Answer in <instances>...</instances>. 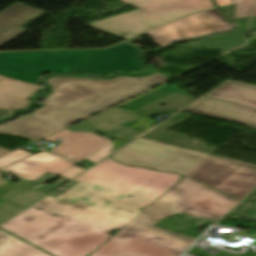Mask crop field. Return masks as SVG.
Here are the masks:
<instances>
[{
  "label": "crop field",
  "mask_w": 256,
  "mask_h": 256,
  "mask_svg": "<svg viewBox=\"0 0 256 256\" xmlns=\"http://www.w3.org/2000/svg\"><path fill=\"white\" fill-rule=\"evenodd\" d=\"M44 14H46V12L39 11L20 3L1 12L0 47L27 31L22 28Z\"/></svg>",
  "instance_id": "d1516ede"
},
{
  "label": "crop field",
  "mask_w": 256,
  "mask_h": 256,
  "mask_svg": "<svg viewBox=\"0 0 256 256\" xmlns=\"http://www.w3.org/2000/svg\"><path fill=\"white\" fill-rule=\"evenodd\" d=\"M58 138L63 139V141L61 145L53 149L52 152L68 158L100 137L92 132H73L66 129L46 140L52 142Z\"/></svg>",
  "instance_id": "733c2abd"
},
{
  "label": "crop field",
  "mask_w": 256,
  "mask_h": 256,
  "mask_svg": "<svg viewBox=\"0 0 256 256\" xmlns=\"http://www.w3.org/2000/svg\"><path fill=\"white\" fill-rule=\"evenodd\" d=\"M15 186H11V185H7L4 184L2 186H0V197L2 195H4L5 193H7L8 191H10L11 189H13ZM4 200H0V203L3 202Z\"/></svg>",
  "instance_id": "bd1437ed"
},
{
  "label": "crop field",
  "mask_w": 256,
  "mask_h": 256,
  "mask_svg": "<svg viewBox=\"0 0 256 256\" xmlns=\"http://www.w3.org/2000/svg\"><path fill=\"white\" fill-rule=\"evenodd\" d=\"M186 176L239 199L256 186V166L212 155Z\"/></svg>",
  "instance_id": "e52e79f7"
},
{
  "label": "crop field",
  "mask_w": 256,
  "mask_h": 256,
  "mask_svg": "<svg viewBox=\"0 0 256 256\" xmlns=\"http://www.w3.org/2000/svg\"><path fill=\"white\" fill-rule=\"evenodd\" d=\"M247 126L256 128V118L253 119L250 123H248Z\"/></svg>",
  "instance_id": "5866460e"
},
{
  "label": "crop field",
  "mask_w": 256,
  "mask_h": 256,
  "mask_svg": "<svg viewBox=\"0 0 256 256\" xmlns=\"http://www.w3.org/2000/svg\"><path fill=\"white\" fill-rule=\"evenodd\" d=\"M115 143V150H117L118 148H120L121 146H123L124 144H126L125 142H121V141H113ZM114 150V151H115Z\"/></svg>",
  "instance_id": "d32e631a"
},
{
  "label": "crop field",
  "mask_w": 256,
  "mask_h": 256,
  "mask_svg": "<svg viewBox=\"0 0 256 256\" xmlns=\"http://www.w3.org/2000/svg\"><path fill=\"white\" fill-rule=\"evenodd\" d=\"M141 53L128 42L106 50L0 53V75L36 85L44 71L80 70L97 75L140 71L145 70L137 57Z\"/></svg>",
  "instance_id": "34b2d1b8"
},
{
  "label": "crop field",
  "mask_w": 256,
  "mask_h": 256,
  "mask_svg": "<svg viewBox=\"0 0 256 256\" xmlns=\"http://www.w3.org/2000/svg\"><path fill=\"white\" fill-rule=\"evenodd\" d=\"M55 175L50 174V173H45L44 175L40 176L39 178H37L36 180L29 182L26 181L23 184H21L19 187H23V188H29L31 186H33L36 183H40V182H46L47 180H49L50 178L54 177Z\"/></svg>",
  "instance_id": "eef30255"
},
{
  "label": "crop field",
  "mask_w": 256,
  "mask_h": 256,
  "mask_svg": "<svg viewBox=\"0 0 256 256\" xmlns=\"http://www.w3.org/2000/svg\"><path fill=\"white\" fill-rule=\"evenodd\" d=\"M24 208L25 207H22L7 201L3 202L2 204H0V223H2L4 220L14 215L15 213L21 211Z\"/></svg>",
  "instance_id": "dafd665d"
},
{
  "label": "crop field",
  "mask_w": 256,
  "mask_h": 256,
  "mask_svg": "<svg viewBox=\"0 0 256 256\" xmlns=\"http://www.w3.org/2000/svg\"><path fill=\"white\" fill-rule=\"evenodd\" d=\"M67 181H68V179L62 178L50 186H48V185L43 186L41 189H39V191L50 192L53 189L57 188L58 186L62 185L63 183H65Z\"/></svg>",
  "instance_id": "750c4746"
},
{
  "label": "crop field",
  "mask_w": 256,
  "mask_h": 256,
  "mask_svg": "<svg viewBox=\"0 0 256 256\" xmlns=\"http://www.w3.org/2000/svg\"><path fill=\"white\" fill-rule=\"evenodd\" d=\"M147 121H149V119L139 116L131 121L124 123L123 125L143 133L146 130H148L149 128H151L152 126H154V125L148 123Z\"/></svg>",
  "instance_id": "a9b5d70f"
},
{
  "label": "crop field",
  "mask_w": 256,
  "mask_h": 256,
  "mask_svg": "<svg viewBox=\"0 0 256 256\" xmlns=\"http://www.w3.org/2000/svg\"><path fill=\"white\" fill-rule=\"evenodd\" d=\"M143 79L158 85L167 80L166 77L158 73ZM135 80L137 79L132 77H118L104 81L81 78H51L48 82L52 86L53 93L48 97L44 106L32 116H26L0 126V133L13 134L35 141L67 126L59 121L47 118L44 114L88 94L100 98Z\"/></svg>",
  "instance_id": "412701ff"
},
{
  "label": "crop field",
  "mask_w": 256,
  "mask_h": 256,
  "mask_svg": "<svg viewBox=\"0 0 256 256\" xmlns=\"http://www.w3.org/2000/svg\"><path fill=\"white\" fill-rule=\"evenodd\" d=\"M140 9L89 24L128 39L172 21L215 8L211 0H122Z\"/></svg>",
  "instance_id": "f4fd0767"
},
{
  "label": "crop field",
  "mask_w": 256,
  "mask_h": 256,
  "mask_svg": "<svg viewBox=\"0 0 256 256\" xmlns=\"http://www.w3.org/2000/svg\"><path fill=\"white\" fill-rule=\"evenodd\" d=\"M29 154H31V153L26 152L24 150H18L14 153L7 155V156H4V157L0 158V167L5 166L11 162H14L22 157L29 155Z\"/></svg>",
  "instance_id": "4177f3b9"
},
{
  "label": "crop field",
  "mask_w": 256,
  "mask_h": 256,
  "mask_svg": "<svg viewBox=\"0 0 256 256\" xmlns=\"http://www.w3.org/2000/svg\"><path fill=\"white\" fill-rule=\"evenodd\" d=\"M8 153H10V152H9V151H6V150H4V149H2V148H0V157L6 155V154H8Z\"/></svg>",
  "instance_id": "e1f06a70"
},
{
  "label": "crop field",
  "mask_w": 256,
  "mask_h": 256,
  "mask_svg": "<svg viewBox=\"0 0 256 256\" xmlns=\"http://www.w3.org/2000/svg\"><path fill=\"white\" fill-rule=\"evenodd\" d=\"M253 16H256V4H255V9H254V14Z\"/></svg>",
  "instance_id": "b80d0937"
},
{
  "label": "crop field",
  "mask_w": 256,
  "mask_h": 256,
  "mask_svg": "<svg viewBox=\"0 0 256 256\" xmlns=\"http://www.w3.org/2000/svg\"><path fill=\"white\" fill-rule=\"evenodd\" d=\"M185 110L247 124L256 117V110L234 103L203 97Z\"/></svg>",
  "instance_id": "22f410ed"
},
{
  "label": "crop field",
  "mask_w": 256,
  "mask_h": 256,
  "mask_svg": "<svg viewBox=\"0 0 256 256\" xmlns=\"http://www.w3.org/2000/svg\"><path fill=\"white\" fill-rule=\"evenodd\" d=\"M233 2L236 4L234 18L250 16L253 0H233Z\"/></svg>",
  "instance_id": "00972430"
},
{
  "label": "crop field",
  "mask_w": 256,
  "mask_h": 256,
  "mask_svg": "<svg viewBox=\"0 0 256 256\" xmlns=\"http://www.w3.org/2000/svg\"><path fill=\"white\" fill-rule=\"evenodd\" d=\"M249 18L236 20L235 24L238 25V30L230 33L208 37L200 40L204 49H236L243 44L242 35L247 31Z\"/></svg>",
  "instance_id": "4a817a6b"
},
{
  "label": "crop field",
  "mask_w": 256,
  "mask_h": 256,
  "mask_svg": "<svg viewBox=\"0 0 256 256\" xmlns=\"http://www.w3.org/2000/svg\"><path fill=\"white\" fill-rule=\"evenodd\" d=\"M109 142L110 141L106 137H102L99 140L92 143L91 145L84 148L83 150L79 151L78 153H76L75 155L70 157L69 159L79 162L82 159H84L85 157H87V156L91 155L92 153H94L95 151L99 150L103 146L107 145Z\"/></svg>",
  "instance_id": "92a150f3"
},
{
  "label": "crop field",
  "mask_w": 256,
  "mask_h": 256,
  "mask_svg": "<svg viewBox=\"0 0 256 256\" xmlns=\"http://www.w3.org/2000/svg\"><path fill=\"white\" fill-rule=\"evenodd\" d=\"M84 170L85 169L74 166V167H72L71 169L67 170L66 172H64L63 174H61L59 176L71 179V178L78 175L79 173H81Z\"/></svg>",
  "instance_id": "d3111659"
},
{
  "label": "crop field",
  "mask_w": 256,
  "mask_h": 256,
  "mask_svg": "<svg viewBox=\"0 0 256 256\" xmlns=\"http://www.w3.org/2000/svg\"><path fill=\"white\" fill-rule=\"evenodd\" d=\"M14 112L16 111L0 109V119L13 114Z\"/></svg>",
  "instance_id": "120bbe31"
},
{
  "label": "crop field",
  "mask_w": 256,
  "mask_h": 256,
  "mask_svg": "<svg viewBox=\"0 0 256 256\" xmlns=\"http://www.w3.org/2000/svg\"><path fill=\"white\" fill-rule=\"evenodd\" d=\"M207 156L141 139L113 155L115 160L126 165L144 166L181 175H186Z\"/></svg>",
  "instance_id": "dd49c442"
},
{
  "label": "crop field",
  "mask_w": 256,
  "mask_h": 256,
  "mask_svg": "<svg viewBox=\"0 0 256 256\" xmlns=\"http://www.w3.org/2000/svg\"><path fill=\"white\" fill-rule=\"evenodd\" d=\"M0 256H50L0 231Z\"/></svg>",
  "instance_id": "bc2a9ffb"
},
{
  "label": "crop field",
  "mask_w": 256,
  "mask_h": 256,
  "mask_svg": "<svg viewBox=\"0 0 256 256\" xmlns=\"http://www.w3.org/2000/svg\"><path fill=\"white\" fill-rule=\"evenodd\" d=\"M45 195L46 193L24 190L16 187L4 196H2L0 199H4L27 207Z\"/></svg>",
  "instance_id": "214f88e0"
},
{
  "label": "crop field",
  "mask_w": 256,
  "mask_h": 256,
  "mask_svg": "<svg viewBox=\"0 0 256 256\" xmlns=\"http://www.w3.org/2000/svg\"><path fill=\"white\" fill-rule=\"evenodd\" d=\"M156 86L158 85L140 79L100 99L88 95L82 99L50 112L46 114V116L59 120L70 126Z\"/></svg>",
  "instance_id": "d8731c3e"
},
{
  "label": "crop field",
  "mask_w": 256,
  "mask_h": 256,
  "mask_svg": "<svg viewBox=\"0 0 256 256\" xmlns=\"http://www.w3.org/2000/svg\"><path fill=\"white\" fill-rule=\"evenodd\" d=\"M64 160L47 152H41L14 163L3 170L32 181Z\"/></svg>",
  "instance_id": "5142ce71"
},
{
  "label": "crop field",
  "mask_w": 256,
  "mask_h": 256,
  "mask_svg": "<svg viewBox=\"0 0 256 256\" xmlns=\"http://www.w3.org/2000/svg\"><path fill=\"white\" fill-rule=\"evenodd\" d=\"M135 117H137V115L115 107L93 119H90L74 127L86 131H98L104 133L106 136L128 143L139 136L141 133L120 124Z\"/></svg>",
  "instance_id": "28ad6ade"
},
{
  "label": "crop field",
  "mask_w": 256,
  "mask_h": 256,
  "mask_svg": "<svg viewBox=\"0 0 256 256\" xmlns=\"http://www.w3.org/2000/svg\"><path fill=\"white\" fill-rule=\"evenodd\" d=\"M39 86L0 76V108L21 110L30 106L29 99Z\"/></svg>",
  "instance_id": "cbeb9de0"
},
{
  "label": "crop field",
  "mask_w": 256,
  "mask_h": 256,
  "mask_svg": "<svg viewBox=\"0 0 256 256\" xmlns=\"http://www.w3.org/2000/svg\"><path fill=\"white\" fill-rule=\"evenodd\" d=\"M254 28H256V18H253L250 24V29H254Z\"/></svg>",
  "instance_id": "028f5c9d"
},
{
  "label": "crop field",
  "mask_w": 256,
  "mask_h": 256,
  "mask_svg": "<svg viewBox=\"0 0 256 256\" xmlns=\"http://www.w3.org/2000/svg\"><path fill=\"white\" fill-rule=\"evenodd\" d=\"M238 202L183 177L90 256H178L195 238L153 227L160 219L216 223Z\"/></svg>",
  "instance_id": "ac0d7876"
},
{
  "label": "crop field",
  "mask_w": 256,
  "mask_h": 256,
  "mask_svg": "<svg viewBox=\"0 0 256 256\" xmlns=\"http://www.w3.org/2000/svg\"><path fill=\"white\" fill-rule=\"evenodd\" d=\"M76 183L77 182L72 181V182L68 183L67 185H65L64 187L69 188L70 186H72V185H74Z\"/></svg>",
  "instance_id": "0bd39190"
},
{
  "label": "crop field",
  "mask_w": 256,
  "mask_h": 256,
  "mask_svg": "<svg viewBox=\"0 0 256 256\" xmlns=\"http://www.w3.org/2000/svg\"><path fill=\"white\" fill-rule=\"evenodd\" d=\"M231 25L217 9L192 14L168 25L148 32L153 40L165 47L175 41L196 38L211 32L231 29Z\"/></svg>",
  "instance_id": "5a996713"
},
{
  "label": "crop field",
  "mask_w": 256,
  "mask_h": 256,
  "mask_svg": "<svg viewBox=\"0 0 256 256\" xmlns=\"http://www.w3.org/2000/svg\"><path fill=\"white\" fill-rule=\"evenodd\" d=\"M206 97L234 102L256 109V87L228 81Z\"/></svg>",
  "instance_id": "d9b57169"
},
{
  "label": "crop field",
  "mask_w": 256,
  "mask_h": 256,
  "mask_svg": "<svg viewBox=\"0 0 256 256\" xmlns=\"http://www.w3.org/2000/svg\"><path fill=\"white\" fill-rule=\"evenodd\" d=\"M76 163H73L71 161H64L63 163L59 164L58 166H56L55 168L51 169L49 172L55 174V175H59L62 172L66 171L67 169H69L70 167L74 166Z\"/></svg>",
  "instance_id": "ae1a2a85"
},
{
  "label": "crop field",
  "mask_w": 256,
  "mask_h": 256,
  "mask_svg": "<svg viewBox=\"0 0 256 256\" xmlns=\"http://www.w3.org/2000/svg\"><path fill=\"white\" fill-rule=\"evenodd\" d=\"M177 89L175 86L164 85L120 106L148 118L159 112L175 113L195 101L187 94L178 92ZM162 103L166 105L159 107Z\"/></svg>",
  "instance_id": "3316defc"
},
{
  "label": "crop field",
  "mask_w": 256,
  "mask_h": 256,
  "mask_svg": "<svg viewBox=\"0 0 256 256\" xmlns=\"http://www.w3.org/2000/svg\"><path fill=\"white\" fill-rule=\"evenodd\" d=\"M2 182V180L0 179V183Z\"/></svg>",
  "instance_id": "c035e120"
},
{
  "label": "crop field",
  "mask_w": 256,
  "mask_h": 256,
  "mask_svg": "<svg viewBox=\"0 0 256 256\" xmlns=\"http://www.w3.org/2000/svg\"><path fill=\"white\" fill-rule=\"evenodd\" d=\"M179 177L108 157L74 179L79 183L64 194L44 198L0 228L56 256H86Z\"/></svg>",
  "instance_id": "8a807250"
},
{
  "label": "crop field",
  "mask_w": 256,
  "mask_h": 256,
  "mask_svg": "<svg viewBox=\"0 0 256 256\" xmlns=\"http://www.w3.org/2000/svg\"><path fill=\"white\" fill-rule=\"evenodd\" d=\"M215 2L217 3L219 8L234 4L232 0H215Z\"/></svg>",
  "instance_id": "1d83c4d3"
},
{
  "label": "crop field",
  "mask_w": 256,
  "mask_h": 256,
  "mask_svg": "<svg viewBox=\"0 0 256 256\" xmlns=\"http://www.w3.org/2000/svg\"><path fill=\"white\" fill-rule=\"evenodd\" d=\"M112 150H113V143L111 142L110 144H108L104 148L100 149L96 153L92 154L91 156L87 157L86 159L96 163L99 160L106 157L107 155L111 154Z\"/></svg>",
  "instance_id": "730fd06b"
}]
</instances>
